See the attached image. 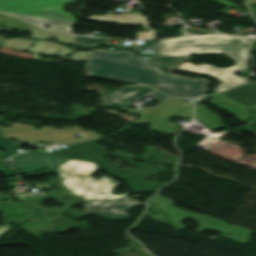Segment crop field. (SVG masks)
<instances>
[{
  "label": "crop field",
  "instance_id": "obj_15",
  "mask_svg": "<svg viewBox=\"0 0 256 256\" xmlns=\"http://www.w3.org/2000/svg\"><path fill=\"white\" fill-rule=\"evenodd\" d=\"M251 85H241L238 87H235L233 89L227 90L225 92H222L221 94L238 101L242 105L249 107L251 105L256 104V81L250 82ZM247 99H250L247 101Z\"/></svg>",
  "mask_w": 256,
  "mask_h": 256
},
{
  "label": "crop field",
  "instance_id": "obj_10",
  "mask_svg": "<svg viewBox=\"0 0 256 256\" xmlns=\"http://www.w3.org/2000/svg\"><path fill=\"white\" fill-rule=\"evenodd\" d=\"M84 202L88 214L95 215L106 221L127 219L126 212L128 209L140 205L127 197L114 200H84ZM113 216L116 217L113 218Z\"/></svg>",
  "mask_w": 256,
  "mask_h": 256
},
{
  "label": "crop field",
  "instance_id": "obj_23",
  "mask_svg": "<svg viewBox=\"0 0 256 256\" xmlns=\"http://www.w3.org/2000/svg\"><path fill=\"white\" fill-rule=\"evenodd\" d=\"M110 39H98L74 36L73 45L80 46V49H88L89 46L97 47L101 44H109Z\"/></svg>",
  "mask_w": 256,
  "mask_h": 256
},
{
  "label": "crop field",
  "instance_id": "obj_30",
  "mask_svg": "<svg viewBox=\"0 0 256 256\" xmlns=\"http://www.w3.org/2000/svg\"><path fill=\"white\" fill-rule=\"evenodd\" d=\"M78 225H79V223L74 222V223H72V224H70V225H68L66 227H63V228L59 229V231L64 233V232H66V231H68V230H70V229H72V228H74V227H76Z\"/></svg>",
  "mask_w": 256,
  "mask_h": 256
},
{
  "label": "crop field",
  "instance_id": "obj_4",
  "mask_svg": "<svg viewBox=\"0 0 256 256\" xmlns=\"http://www.w3.org/2000/svg\"><path fill=\"white\" fill-rule=\"evenodd\" d=\"M99 170L95 163L79 159H70L56 168L64 188L73 194L76 192L75 195L82 199H111L129 195L111 194L121 185L107 176L94 180L91 176ZM101 192L104 194L101 195Z\"/></svg>",
  "mask_w": 256,
  "mask_h": 256
},
{
  "label": "crop field",
  "instance_id": "obj_33",
  "mask_svg": "<svg viewBox=\"0 0 256 256\" xmlns=\"http://www.w3.org/2000/svg\"><path fill=\"white\" fill-rule=\"evenodd\" d=\"M9 228L7 226H0V234L4 231L8 230Z\"/></svg>",
  "mask_w": 256,
  "mask_h": 256
},
{
  "label": "crop field",
  "instance_id": "obj_22",
  "mask_svg": "<svg viewBox=\"0 0 256 256\" xmlns=\"http://www.w3.org/2000/svg\"><path fill=\"white\" fill-rule=\"evenodd\" d=\"M0 26L12 29H39L20 19L13 18L0 13Z\"/></svg>",
  "mask_w": 256,
  "mask_h": 256
},
{
  "label": "crop field",
  "instance_id": "obj_20",
  "mask_svg": "<svg viewBox=\"0 0 256 256\" xmlns=\"http://www.w3.org/2000/svg\"><path fill=\"white\" fill-rule=\"evenodd\" d=\"M195 119L205 124L211 130L224 128V126L220 124L221 119L210 110L206 109L205 105L196 106Z\"/></svg>",
  "mask_w": 256,
  "mask_h": 256
},
{
  "label": "crop field",
  "instance_id": "obj_17",
  "mask_svg": "<svg viewBox=\"0 0 256 256\" xmlns=\"http://www.w3.org/2000/svg\"><path fill=\"white\" fill-rule=\"evenodd\" d=\"M145 41L140 47H150L154 50V53L147 55L150 61L173 70L182 64L189 57H159L157 44L154 40H143Z\"/></svg>",
  "mask_w": 256,
  "mask_h": 256
},
{
  "label": "crop field",
  "instance_id": "obj_14",
  "mask_svg": "<svg viewBox=\"0 0 256 256\" xmlns=\"http://www.w3.org/2000/svg\"><path fill=\"white\" fill-rule=\"evenodd\" d=\"M55 182L57 183V187H58L59 191L51 193V194H45V196L54 197L58 202L66 205L63 208H59L61 213L67 212L68 213L67 215H73L75 217H78V216L86 213V211H77V210L68 208L69 206L81 201V199L79 197L69 193V192L66 194L67 191L62 187L58 178H56V179H54V180H52L48 183H40V184H36V185L50 188ZM61 196H71V197L65 200V199L61 198ZM64 201H66V203H64Z\"/></svg>",
  "mask_w": 256,
  "mask_h": 256
},
{
  "label": "crop field",
  "instance_id": "obj_3",
  "mask_svg": "<svg viewBox=\"0 0 256 256\" xmlns=\"http://www.w3.org/2000/svg\"><path fill=\"white\" fill-rule=\"evenodd\" d=\"M186 40L187 42H182ZM235 41H241L240 44ZM248 38L218 34L183 36L175 39L158 41L160 56H189L204 53H223L236 62L240 71L247 69Z\"/></svg>",
  "mask_w": 256,
  "mask_h": 256
},
{
  "label": "crop field",
  "instance_id": "obj_7",
  "mask_svg": "<svg viewBox=\"0 0 256 256\" xmlns=\"http://www.w3.org/2000/svg\"><path fill=\"white\" fill-rule=\"evenodd\" d=\"M192 104L182 100L170 99L157 107L142 109L137 114L141 117L136 119L133 124L151 122L149 129L158 130L163 133H172L178 129V125L168 121V118L177 116L191 118Z\"/></svg>",
  "mask_w": 256,
  "mask_h": 256
},
{
  "label": "crop field",
  "instance_id": "obj_29",
  "mask_svg": "<svg viewBox=\"0 0 256 256\" xmlns=\"http://www.w3.org/2000/svg\"><path fill=\"white\" fill-rule=\"evenodd\" d=\"M51 171H55V168L44 167V168L38 169L34 172H31V173H28L26 175L19 176V177H26V176H31V175H36V174H41V173L51 172Z\"/></svg>",
  "mask_w": 256,
  "mask_h": 256
},
{
  "label": "crop field",
  "instance_id": "obj_1",
  "mask_svg": "<svg viewBox=\"0 0 256 256\" xmlns=\"http://www.w3.org/2000/svg\"><path fill=\"white\" fill-rule=\"evenodd\" d=\"M91 77L152 86L164 73L128 51L92 49L85 66Z\"/></svg>",
  "mask_w": 256,
  "mask_h": 256
},
{
  "label": "crop field",
  "instance_id": "obj_5",
  "mask_svg": "<svg viewBox=\"0 0 256 256\" xmlns=\"http://www.w3.org/2000/svg\"><path fill=\"white\" fill-rule=\"evenodd\" d=\"M152 203L158 204V209H162L170 222L173 224L176 230L185 229L180 223L188 218L194 219L199 223V227L195 230L198 233H201L203 230H215L222 232L220 236L234 240L239 243L247 242L249 236V230L239 227V226H230L226 225L225 222L214 219L206 215H197L191 212H187L176 207L170 206L172 201L171 199L157 194L152 200ZM227 233L232 234L228 236Z\"/></svg>",
  "mask_w": 256,
  "mask_h": 256
},
{
  "label": "crop field",
  "instance_id": "obj_2",
  "mask_svg": "<svg viewBox=\"0 0 256 256\" xmlns=\"http://www.w3.org/2000/svg\"><path fill=\"white\" fill-rule=\"evenodd\" d=\"M105 148L98 145L94 140L71 144L68 148H61L56 151L49 152L58 157H79L91 161H96L111 175L125 180L132 190H152L157 191L164 184L160 182L143 181L142 179L156 175L163 171L162 168L149 165L145 162L139 164L134 163L130 156L124 155L118 151L109 153L103 151ZM107 154H114L116 157L124 159L127 163L138 167L137 169L120 170L108 162L105 157Z\"/></svg>",
  "mask_w": 256,
  "mask_h": 256
},
{
  "label": "crop field",
  "instance_id": "obj_24",
  "mask_svg": "<svg viewBox=\"0 0 256 256\" xmlns=\"http://www.w3.org/2000/svg\"><path fill=\"white\" fill-rule=\"evenodd\" d=\"M29 31H33L30 37H38V38L57 37L58 39H54V40H59L67 43H70L72 38V35H69V34L54 33V32L45 31V30H29Z\"/></svg>",
  "mask_w": 256,
  "mask_h": 256
},
{
  "label": "crop field",
  "instance_id": "obj_27",
  "mask_svg": "<svg viewBox=\"0 0 256 256\" xmlns=\"http://www.w3.org/2000/svg\"><path fill=\"white\" fill-rule=\"evenodd\" d=\"M0 146L6 148L9 150V152L2 154L0 157L7 158L13 154H16L18 152H15V149L20 147L17 143L14 141L7 139L5 137H2L0 134Z\"/></svg>",
  "mask_w": 256,
  "mask_h": 256
},
{
  "label": "crop field",
  "instance_id": "obj_25",
  "mask_svg": "<svg viewBox=\"0 0 256 256\" xmlns=\"http://www.w3.org/2000/svg\"><path fill=\"white\" fill-rule=\"evenodd\" d=\"M43 194L42 192L33 193V194H27V193H16V198L18 200H22L23 202H26L34 207L41 204L43 200Z\"/></svg>",
  "mask_w": 256,
  "mask_h": 256
},
{
  "label": "crop field",
  "instance_id": "obj_35",
  "mask_svg": "<svg viewBox=\"0 0 256 256\" xmlns=\"http://www.w3.org/2000/svg\"><path fill=\"white\" fill-rule=\"evenodd\" d=\"M251 4H256V0H251Z\"/></svg>",
  "mask_w": 256,
  "mask_h": 256
},
{
  "label": "crop field",
  "instance_id": "obj_16",
  "mask_svg": "<svg viewBox=\"0 0 256 256\" xmlns=\"http://www.w3.org/2000/svg\"><path fill=\"white\" fill-rule=\"evenodd\" d=\"M211 103L219 106L221 109L228 110L231 114L235 115L240 121L250 117L248 109L241 104L230 100L220 94L210 96Z\"/></svg>",
  "mask_w": 256,
  "mask_h": 256
},
{
  "label": "crop field",
  "instance_id": "obj_18",
  "mask_svg": "<svg viewBox=\"0 0 256 256\" xmlns=\"http://www.w3.org/2000/svg\"><path fill=\"white\" fill-rule=\"evenodd\" d=\"M57 49H60L62 51L57 53V52H55ZM27 51L34 52L31 59L47 61V60L38 58V55L40 53H42V54L48 56L49 54L53 53V54H59L61 56H66L72 50H70L64 46H60L54 42H50V41H46V40H36L34 46L30 47Z\"/></svg>",
  "mask_w": 256,
  "mask_h": 256
},
{
  "label": "crop field",
  "instance_id": "obj_28",
  "mask_svg": "<svg viewBox=\"0 0 256 256\" xmlns=\"http://www.w3.org/2000/svg\"><path fill=\"white\" fill-rule=\"evenodd\" d=\"M86 53L87 51H78V52H75L73 53L69 59H72L74 61H82V60H85V57H86Z\"/></svg>",
  "mask_w": 256,
  "mask_h": 256
},
{
  "label": "crop field",
  "instance_id": "obj_34",
  "mask_svg": "<svg viewBox=\"0 0 256 256\" xmlns=\"http://www.w3.org/2000/svg\"><path fill=\"white\" fill-rule=\"evenodd\" d=\"M7 167H8V165L0 167V171L3 172V173H6L5 171H3V169L7 168Z\"/></svg>",
  "mask_w": 256,
  "mask_h": 256
},
{
  "label": "crop field",
  "instance_id": "obj_19",
  "mask_svg": "<svg viewBox=\"0 0 256 256\" xmlns=\"http://www.w3.org/2000/svg\"><path fill=\"white\" fill-rule=\"evenodd\" d=\"M2 13H5V12H2ZM6 14L20 17V18H22L36 26L42 27V28H44L45 25H48L50 27L45 28L47 30H56V31L71 33L70 28L73 25V23L65 22V21L51 20V19L25 16V15H19V14H12V13H6Z\"/></svg>",
  "mask_w": 256,
  "mask_h": 256
},
{
  "label": "crop field",
  "instance_id": "obj_9",
  "mask_svg": "<svg viewBox=\"0 0 256 256\" xmlns=\"http://www.w3.org/2000/svg\"><path fill=\"white\" fill-rule=\"evenodd\" d=\"M210 81L189 79L178 75L167 74L152 87L180 98H196L205 95Z\"/></svg>",
  "mask_w": 256,
  "mask_h": 256
},
{
  "label": "crop field",
  "instance_id": "obj_6",
  "mask_svg": "<svg viewBox=\"0 0 256 256\" xmlns=\"http://www.w3.org/2000/svg\"><path fill=\"white\" fill-rule=\"evenodd\" d=\"M17 124V126H14ZM4 136L14 139L35 143L39 140H43L50 143H69L74 141H80L79 138L73 137L75 134L83 135V139H89L100 136L99 134L88 130L85 131L77 126L71 128H64L58 130L56 128L43 127L40 130H35L32 125H23L19 122L13 123V127L5 128L1 127Z\"/></svg>",
  "mask_w": 256,
  "mask_h": 256
},
{
  "label": "crop field",
  "instance_id": "obj_31",
  "mask_svg": "<svg viewBox=\"0 0 256 256\" xmlns=\"http://www.w3.org/2000/svg\"><path fill=\"white\" fill-rule=\"evenodd\" d=\"M216 1L222 3V4L226 5V6L234 5L233 3H230V2L225 1V0H216Z\"/></svg>",
  "mask_w": 256,
  "mask_h": 256
},
{
  "label": "crop field",
  "instance_id": "obj_21",
  "mask_svg": "<svg viewBox=\"0 0 256 256\" xmlns=\"http://www.w3.org/2000/svg\"><path fill=\"white\" fill-rule=\"evenodd\" d=\"M36 208L43 213L42 217L47 219L57 229L74 222L63 216L57 208H46L42 206Z\"/></svg>",
  "mask_w": 256,
  "mask_h": 256
},
{
  "label": "crop field",
  "instance_id": "obj_11",
  "mask_svg": "<svg viewBox=\"0 0 256 256\" xmlns=\"http://www.w3.org/2000/svg\"><path fill=\"white\" fill-rule=\"evenodd\" d=\"M148 96L154 97L159 102L170 97L158 91H154L151 87L142 85H136L132 87L127 85L109 94L108 96L105 95L104 107L120 108L124 103L130 101L133 98L140 100L145 99Z\"/></svg>",
  "mask_w": 256,
  "mask_h": 256
},
{
  "label": "crop field",
  "instance_id": "obj_26",
  "mask_svg": "<svg viewBox=\"0 0 256 256\" xmlns=\"http://www.w3.org/2000/svg\"><path fill=\"white\" fill-rule=\"evenodd\" d=\"M31 42L32 41L30 40L13 38L7 39L2 46L15 48L19 51H25L30 47L29 45L31 44Z\"/></svg>",
  "mask_w": 256,
  "mask_h": 256
},
{
  "label": "crop field",
  "instance_id": "obj_8",
  "mask_svg": "<svg viewBox=\"0 0 256 256\" xmlns=\"http://www.w3.org/2000/svg\"><path fill=\"white\" fill-rule=\"evenodd\" d=\"M70 0H0V11L75 22L62 6Z\"/></svg>",
  "mask_w": 256,
  "mask_h": 256
},
{
  "label": "crop field",
  "instance_id": "obj_12",
  "mask_svg": "<svg viewBox=\"0 0 256 256\" xmlns=\"http://www.w3.org/2000/svg\"><path fill=\"white\" fill-rule=\"evenodd\" d=\"M178 68L187 70L193 74L204 73L218 80L219 84L214 92L225 90L245 81L246 77L235 76L234 71H239L235 66L229 68H214L206 64L195 66L189 62H184Z\"/></svg>",
  "mask_w": 256,
  "mask_h": 256
},
{
  "label": "crop field",
  "instance_id": "obj_32",
  "mask_svg": "<svg viewBox=\"0 0 256 256\" xmlns=\"http://www.w3.org/2000/svg\"><path fill=\"white\" fill-rule=\"evenodd\" d=\"M0 31H7V32H10L11 30H7V29H2V28H0ZM5 40H6V39H4V38H0V46L4 43Z\"/></svg>",
  "mask_w": 256,
  "mask_h": 256
},
{
  "label": "crop field",
  "instance_id": "obj_13",
  "mask_svg": "<svg viewBox=\"0 0 256 256\" xmlns=\"http://www.w3.org/2000/svg\"><path fill=\"white\" fill-rule=\"evenodd\" d=\"M12 159L14 160L12 167L25 173L43 166L56 167L58 164L68 160L64 158H55L47 153H37L35 151L13 156Z\"/></svg>",
  "mask_w": 256,
  "mask_h": 256
}]
</instances>
